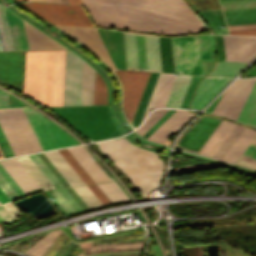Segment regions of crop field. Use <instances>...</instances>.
<instances>
[{"label":"crop field","instance_id":"crop-field-1","mask_svg":"<svg viewBox=\"0 0 256 256\" xmlns=\"http://www.w3.org/2000/svg\"><path fill=\"white\" fill-rule=\"evenodd\" d=\"M65 51L26 52L24 95L62 106Z\"/></svg>","mask_w":256,"mask_h":256},{"label":"crop field","instance_id":"crop-field-2","mask_svg":"<svg viewBox=\"0 0 256 256\" xmlns=\"http://www.w3.org/2000/svg\"><path fill=\"white\" fill-rule=\"evenodd\" d=\"M0 126L15 156L42 150L21 108L0 109Z\"/></svg>","mask_w":256,"mask_h":256},{"label":"crop field","instance_id":"crop-field-3","mask_svg":"<svg viewBox=\"0 0 256 256\" xmlns=\"http://www.w3.org/2000/svg\"><path fill=\"white\" fill-rule=\"evenodd\" d=\"M127 69L161 72L158 37L123 32Z\"/></svg>","mask_w":256,"mask_h":256},{"label":"crop field","instance_id":"crop-field-4","mask_svg":"<svg viewBox=\"0 0 256 256\" xmlns=\"http://www.w3.org/2000/svg\"><path fill=\"white\" fill-rule=\"evenodd\" d=\"M42 149L79 144L75 139L37 111L22 108Z\"/></svg>","mask_w":256,"mask_h":256},{"label":"crop field","instance_id":"crop-field-5","mask_svg":"<svg viewBox=\"0 0 256 256\" xmlns=\"http://www.w3.org/2000/svg\"><path fill=\"white\" fill-rule=\"evenodd\" d=\"M52 24L93 27L79 6L53 4H22Z\"/></svg>","mask_w":256,"mask_h":256},{"label":"crop field","instance_id":"crop-field-6","mask_svg":"<svg viewBox=\"0 0 256 256\" xmlns=\"http://www.w3.org/2000/svg\"><path fill=\"white\" fill-rule=\"evenodd\" d=\"M175 73L202 75L198 35L171 38Z\"/></svg>","mask_w":256,"mask_h":256},{"label":"crop field","instance_id":"crop-field-7","mask_svg":"<svg viewBox=\"0 0 256 256\" xmlns=\"http://www.w3.org/2000/svg\"><path fill=\"white\" fill-rule=\"evenodd\" d=\"M123 91V109L126 117L131 122L138 101L150 72L115 70Z\"/></svg>","mask_w":256,"mask_h":256},{"label":"crop field","instance_id":"crop-field-8","mask_svg":"<svg viewBox=\"0 0 256 256\" xmlns=\"http://www.w3.org/2000/svg\"><path fill=\"white\" fill-rule=\"evenodd\" d=\"M83 59L66 51L63 106L80 105Z\"/></svg>","mask_w":256,"mask_h":256},{"label":"crop field","instance_id":"crop-field-9","mask_svg":"<svg viewBox=\"0 0 256 256\" xmlns=\"http://www.w3.org/2000/svg\"><path fill=\"white\" fill-rule=\"evenodd\" d=\"M221 121L222 119L212 116H202L186 133L181 135L176 146L198 153Z\"/></svg>","mask_w":256,"mask_h":256},{"label":"crop field","instance_id":"crop-field-10","mask_svg":"<svg viewBox=\"0 0 256 256\" xmlns=\"http://www.w3.org/2000/svg\"><path fill=\"white\" fill-rule=\"evenodd\" d=\"M255 81L256 79L242 80L232 84L216 109L215 114L237 119Z\"/></svg>","mask_w":256,"mask_h":256},{"label":"crop field","instance_id":"crop-field-11","mask_svg":"<svg viewBox=\"0 0 256 256\" xmlns=\"http://www.w3.org/2000/svg\"><path fill=\"white\" fill-rule=\"evenodd\" d=\"M25 52L0 53V80L23 93Z\"/></svg>","mask_w":256,"mask_h":256},{"label":"crop field","instance_id":"crop-field-12","mask_svg":"<svg viewBox=\"0 0 256 256\" xmlns=\"http://www.w3.org/2000/svg\"><path fill=\"white\" fill-rule=\"evenodd\" d=\"M226 61L250 62L256 55V37L223 35Z\"/></svg>","mask_w":256,"mask_h":256},{"label":"crop field","instance_id":"crop-field-13","mask_svg":"<svg viewBox=\"0 0 256 256\" xmlns=\"http://www.w3.org/2000/svg\"><path fill=\"white\" fill-rule=\"evenodd\" d=\"M231 79L205 77L194 95L191 109H202Z\"/></svg>","mask_w":256,"mask_h":256},{"label":"crop field","instance_id":"crop-field-14","mask_svg":"<svg viewBox=\"0 0 256 256\" xmlns=\"http://www.w3.org/2000/svg\"><path fill=\"white\" fill-rule=\"evenodd\" d=\"M115 67L126 69L122 32L96 28Z\"/></svg>","mask_w":256,"mask_h":256},{"label":"crop field","instance_id":"crop-field-15","mask_svg":"<svg viewBox=\"0 0 256 256\" xmlns=\"http://www.w3.org/2000/svg\"><path fill=\"white\" fill-rule=\"evenodd\" d=\"M69 153L74 157V159L79 163L83 170L88 174V176L93 180L94 183L110 181L112 180L109 175L101 169H103L99 163L94 160L97 164L91 160L93 157L90 153L82 146L68 148Z\"/></svg>","mask_w":256,"mask_h":256},{"label":"crop field","instance_id":"crop-field-16","mask_svg":"<svg viewBox=\"0 0 256 256\" xmlns=\"http://www.w3.org/2000/svg\"><path fill=\"white\" fill-rule=\"evenodd\" d=\"M14 50H29L22 19L5 9Z\"/></svg>","mask_w":256,"mask_h":256},{"label":"crop field","instance_id":"crop-field-17","mask_svg":"<svg viewBox=\"0 0 256 256\" xmlns=\"http://www.w3.org/2000/svg\"><path fill=\"white\" fill-rule=\"evenodd\" d=\"M0 163L24 192L38 188L36 183L30 178V176L18 164L19 162L17 163L15 159L0 161Z\"/></svg>","mask_w":256,"mask_h":256},{"label":"crop field","instance_id":"crop-field-18","mask_svg":"<svg viewBox=\"0 0 256 256\" xmlns=\"http://www.w3.org/2000/svg\"><path fill=\"white\" fill-rule=\"evenodd\" d=\"M25 31L28 39V44L30 50H39V49H66L60 44L56 43L40 31L36 30L25 21Z\"/></svg>","mask_w":256,"mask_h":256},{"label":"crop field","instance_id":"crop-field-19","mask_svg":"<svg viewBox=\"0 0 256 256\" xmlns=\"http://www.w3.org/2000/svg\"><path fill=\"white\" fill-rule=\"evenodd\" d=\"M235 124L227 122L225 120L219 125L213 135L209 138L199 154L211 157L221 142L225 139Z\"/></svg>","mask_w":256,"mask_h":256},{"label":"crop field","instance_id":"crop-field-20","mask_svg":"<svg viewBox=\"0 0 256 256\" xmlns=\"http://www.w3.org/2000/svg\"><path fill=\"white\" fill-rule=\"evenodd\" d=\"M255 136V131L245 128L222 160L235 163Z\"/></svg>","mask_w":256,"mask_h":256},{"label":"crop field","instance_id":"crop-field-21","mask_svg":"<svg viewBox=\"0 0 256 256\" xmlns=\"http://www.w3.org/2000/svg\"><path fill=\"white\" fill-rule=\"evenodd\" d=\"M192 76L178 74L165 107H180Z\"/></svg>","mask_w":256,"mask_h":256},{"label":"crop field","instance_id":"crop-field-22","mask_svg":"<svg viewBox=\"0 0 256 256\" xmlns=\"http://www.w3.org/2000/svg\"><path fill=\"white\" fill-rule=\"evenodd\" d=\"M158 74L159 73L151 72L149 75L148 81L146 83L143 94L141 96L138 107L136 109L133 120L131 122L134 128L141 122V119L143 117L144 111L146 109L147 103L149 101V98L152 93Z\"/></svg>","mask_w":256,"mask_h":256},{"label":"crop field","instance_id":"crop-field-23","mask_svg":"<svg viewBox=\"0 0 256 256\" xmlns=\"http://www.w3.org/2000/svg\"><path fill=\"white\" fill-rule=\"evenodd\" d=\"M95 70L84 62L81 105L93 104Z\"/></svg>","mask_w":256,"mask_h":256},{"label":"crop field","instance_id":"crop-field-24","mask_svg":"<svg viewBox=\"0 0 256 256\" xmlns=\"http://www.w3.org/2000/svg\"><path fill=\"white\" fill-rule=\"evenodd\" d=\"M94 49L114 68L95 28L74 27ZM115 69V68H114Z\"/></svg>","mask_w":256,"mask_h":256},{"label":"crop field","instance_id":"crop-field-25","mask_svg":"<svg viewBox=\"0 0 256 256\" xmlns=\"http://www.w3.org/2000/svg\"><path fill=\"white\" fill-rule=\"evenodd\" d=\"M238 120L256 127V83L238 117Z\"/></svg>","mask_w":256,"mask_h":256},{"label":"crop field","instance_id":"crop-field-26","mask_svg":"<svg viewBox=\"0 0 256 256\" xmlns=\"http://www.w3.org/2000/svg\"><path fill=\"white\" fill-rule=\"evenodd\" d=\"M228 25L256 23V9L223 12Z\"/></svg>","mask_w":256,"mask_h":256},{"label":"crop field","instance_id":"crop-field-27","mask_svg":"<svg viewBox=\"0 0 256 256\" xmlns=\"http://www.w3.org/2000/svg\"><path fill=\"white\" fill-rule=\"evenodd\" d=\"M248 63H234L217 61L214 70L208 74L213 76L234 77L237 75Z\"/></svg>","mask_w":256,"mask_h":256},{"label":"crop field","instance_id":"crop-field-28","mask_svg":"<svg viewBox=\"0 0 256 256\" xmlns=\"http://www.w3.org/2000/svg\"><path fill=\"white\" fill-rule=\"evenodd\" d=\"M97 185L112 203L129 199L115 182L100 183Z\"/></svg>","mask_w":256,"mask_h":256},{"label":"crop field","instance_id":"crop-field-29","mask_svg":"<svg viewBox=\"0 0 256 256\" xmlns=\"http://www.w3.org/2000/svg\"><path fill=\"white\" fill-rule=\"evenodd\" d=\"M243 129V126L236 125L235 128L228 135V137L217 149V151L213 154L212 158L221 160V158L224 156V154L227 152V150L230 148L232 143L235 141V139L238 137V135L241 133Z\"/></svg>","mask_w":256,"mask_h":256},{"label":"crop field","instance_id":"crop-field-30","mask_svg":"<svg viewBox=\"0 0 256 256\" xmlns=\"http://www.w3.org/2000/svg\"><path fill=\"white\" fill-rule=\"evenodd\" d=\"M94 104H107V87L103 78L96 72Z\"/></svg>","mask_w":256,"mask_h":256},{"label":"crop field","instance_id":"crop-field-31","mask_svg":"<svg viewBox=\"0 0 256 256\" xmlns=\"http://www.w3.org/2000/svg\"><path fill=\"white\" fill-rule=\"evenodd\" d=\"M31 160L36 164V166L42 171V173L48 178V180L53 184L55 188L63 187L62 184L57 180V178L52 174L48 167L43 163V161L38 157L37 154L29 156Z\"/></svg>","mask_w":256,"mask_h":256},{"label":"crop field","instance_id":"crop-field-32","mask_svg":"<svg viewBox=\"0 0 256 256\" xmlns=\"http://www.w3.org/2000/svg\"><path fill=\"white\" fill-rule=\"evenodd\" d=\"M59 151L64 156V158L68 161V163L72 166V168L76 171V173L80 176V178L84 181L85 184L93 183L92 180L87 176V174L78 165L79 163L77 164V162L73 159L74 157L72 158V156L68 153L69 151L67 152L66 149H61Z\"/></svg>","mask_w":256,"mask_h":256},{"label":"crop field","instance_id":"crop-field-33","mask_svg":"<svg viewBox=\"0 0 256 256\" xmlns=\"http://www.w3.org/2000/svg\"><path fill=\"white\" fill-rule=\"evenodd\" d=\"M66 33H68L73 38L77 39L81 43L85 44L87 47H89L92 51H94L106 64H108L94 49L93 47L73 28V27H63V26H56ZM109 65V64H108ZM110 66V65H109ZM111 67V66H110Z\"/></svg>","mask_w":256,"mask_h":256},{"label":"crop field","instance_id":"crop-field-34","mask_svg":"<svg viewBox=\"0 0 256 256\" xmlns=\"http://www.w3.org/2000/svg\"><path fill=\"white\" fill-rule=\"evenodd\" d=\"M198 78H199V76H193L192 77L191 82L189 84V87L187 89L186 95L184 97V100H183L182 105H181L180 108H187L188 107V104H189L190 99L192 97V94H193V91H194V88L196 86Z\"/></svg>","mask_w":256,"mask_h":256},{"label":"crop field","instance_id":"crop-field-35","mask_svg":"<svg viewBox=\"0 0 256 256\" xmlns=\"http://www.w3.org/2000/svg\"><path fill=\"white\" fill-rule=\"evenodd\" d=\"M0 188L9 197L10 200L19 198L18 194L13 190V188L8 184V182L0 174Z\"/></svg>","mask_w":256,"mask_h":256},{"label":"crop field","instance_id":"crop-field-36","mask_svg":"<svg viewBox=\"0 0 256 256\" xmlns=\"http://www.w3.org/2000/svg\"><path fill=\"white\" fill-rule=\"evenodd\" d=\"M222 11L256 8V2L221 5Z\"/></svg>","mask_w":256,"mask_h":256},{"label":"crop field","instance_id":"crop-field-37","mask_svg":"<svg viewBox=\"0 0 256 256\" xmlns=\"http://www.w3.org/2000/svg\"><path fill=\"white\" fill-rule=\"evenodd\" d=\"M57 191L66 200V202L73 208L75 212L82 210L80 205L74 200V198L68 193L66 189H60Z\"/></svg>","mask_w":256,"mask_h":256},{"label":"crop field","instance_id":"crop-field-38","mask_svg":"<svg viewBox=\"0 0 256 256\" xmlns=\"http://www.w3.org/2000/svg\"><path fill=\"white\" fill-rule=\"evenodd\" d=\"M201 60L210 59L207 35H199Z\"/></svg>","mask_w":256,"mask_h":256},{"label":"crop field","instance_id":"crop-field-39","mask_svg":"<svg viewBox=\"0 0 256 256\" xmlns=\"http://www.w3.org/2000/svg\"><path fill=\"white\" fill-rule=\"evenodd\" d=\"M0 148L4 154L5 157L14 156L1 129H0Z\"/></svg>","mask_w":256,"mask_h":256},{"label":"crop field","instance_id":"crop-field-40","mask_svg":"<svg viewBox=\"0 0 256 256\" xmlns=\"http://www.w3.org/2000/svg\"><path fill=\"white\" fill-rule=\"evenodd\" d=\"M0 173L14 188V190L19 194L20 197L25 196V194L21 191V189L17 186V184L13 181V179L8 175V173L4 170V168L1 165H0Z\"/></svg>","mask_w":256,"mask_h":256},{"label":"crop field","instance_id":"crop-field-41","mask_svg":"<svg viewBox=\"0 0 256 256\" xmlns=\"http://www.w3.org/2000/svg\"><path fill=\"white\" fill-rule=\"evenodd\" d=\"M49 192L58 201V203L65 209V211L68 214L74 213L72 208L65 202V200L58 194V192L56 190H51Z\"/></svg>","mask_w":256,"mask_h":256},{"label":"crop field","instance_id":"crop-field-42","mask_svg":"<svg viewBox=\"0 0 256 256\" xmlns=\"http://www.w3.org/2000/svg\"><path fill=\"white\" fill-rule=\"evenodd\" d=\"M91 191L100 199V201L103 203V204H108L110 203L109 200L105 197V195L101 192V190L97 187L96 184H93V185H89L88 186ZM98 199V200H99Z\"/></svg>","mask_w":256,"mask_h":256},{"label":"crop field","instance_id":"crop-field-43","mask_svg":"<svg viewBox=\"0 0 256 256\" xmlns=\"http://www.w3.org/2000/svg\"><path fill=\"white\" fill-rule=\"evenodd\" d=\"M175 110H169L157 123H155L143 136L146 138L160 125L162 124Z\"/></svg>","mask_w":256,"mask_h":256},{"label":"crop field","instance_id":"crop-field-44","mask_svg":"<svg viewBox=\"0 0 256 256\" xmlns=\"http://www.w3.org/2000/svg\"><path fill=\"white\" fill-rule=\"evenodd\" d=\"M0 11H1L2 21H3V25H4L5 34H6L8 48H9V50H13L11 40H10L9 31H8V27H7V23H6L4 10H3V7H1V6H0Z\"/></svg>","mask_w":256,"mask_h":256},{"label":"crop field","instance_id":"crop-field-45","mask_svg":"<svg viewBox=\"0 0 256 256\" xmlns=\"http://www.w3.org/2000/svg\"><path fill=\"white\" fill-rule=\"evenodd\" d=\"M3 50H8V48H7L5 34H4L3 25H2L1 16H0V51H3Z\"/></svg>","mask_w":256,"mask_h":256},{"label":"crop field","instance_id":"crop-field-46","mask_svg":"<svg viewBox=\"0 0 256 256\" xmlns=\"http://www.w3.org/2000/svg\"><path fill=\"white\" fill-rule=\"evenodd\" d=\"M229 31L256 29V24L228 26Z\"/></svg>","mask_w":256,"mask_h":256},{"label":"crop field","instance_id":"crop-field-47","mask_svg":"<svg viewBox=\"0 0 256 256\" xmlns=\"http://www.w3.org/2000/svg\"><path fill=\"white\" fill-rule=\"evenodd\" d=\"M13 218L11 215L0 205V221H11Z\"/></svg>","mask_w":256,"mask_h":256},{"label":"crop field","instance_id":"crop-field-48","mask_svg":"<svg viewBox=\"0 0 256 256\" xmlns=\"http://www.w3.org/2000/svg\"><path fill=\"white\" fill-rule=\"evenodd\" d=\"M236 164L240 165V166H244V167L250 168V169H253V170H256V164L251 163V162H247V161L239 159Z\"/></svg>","mask_w":256,"mask_h":256},{"label":"crop field","instance_id":"crop-field-49","mask_svg":"<svg viewBox=\"0 0 256 256\" xmlns=\"http://www.w3.org/2000/svg\"><path fill=\"white\" fill-rule=\"evenodd\" d=\"M7 107V93L0 90V108Z\"/></svg>","mask_w":256,"mask_h":256},{"label":"crop field","instance_id":"crop-field-50","mask_svg":"<svg viewBox=\"0 0 256 256\" xmlns=\"http://www.w3.org/2000/svg\"><path fill=\"white\" fill-rule=\"evenodd\" d=\"M230 34H243V35H256V30H246V31H234L229 32Z\"/></svg>","mask_w":256,"mask_h":256},{"label":"crop field","instance_id":"crop-field-51","mask_svg":"<svg viewBox=\"0 0 256 256\" xmlns=\"http://www.w3.org/2000/svg\"><path fill=\"white\" fill-rule=\"evenodd\" d=\"M244 156L256 159V149L249 147L248 150L245 152Z\"/></svg>","mask_w":256,"mask_h":256},{"label":"crop field","instance_id":"crop-field-52","mask_svg":"<svg viewBox=\"0 0 256 256\" xmlns=\"http://www.w3.org/2000/svg\"><path fill=\"white\" fill-rule=\"evenodd\" d=\"M248 76H256V67L251 68L244 75H242V77H248Z\"/></svg>","mask_w":256,"mask_h":256},{"label":"crop field","instance_id":"crop-field-53","mask_svg":"<svg viewBox=\"0 0 256 256\" xmlns=\"http://www.w3.org/2000/svg\"><path fill=\"white\" fill-rule=\"evenodd\" d=\"M7 201H9V199L7 198V196L0 189V203L3 204L5 202H7Z\"/></svg>","mask_w":256,"mask_h":256},{"label":"crop field","instance_id":"crop-field-54","mask_svg":"<svg viewBox=\"0 0 256 256\" xmlns=\"http://www.w3.org/2000/svg\"><path fill=\"white\" fill-rule=\"evenodd\" d=\"M241 159L248 160V161L256 163V160L251 159V158H247V157H244V156H242Z\"/></svg>","mask_w":256,"mask_h":256},{"label":"crop field","instance_id":"crop-field-55","mask_svg":"<svg viewBox=\"0 0 256 256\" xmlns=\"http://www.w3.org/2000/svg\"><path fill=\"white\" fill-rule=\"evenodd\" d=\"M69 3L81 4V0H69Z\"/></svg>","mask_w":256,"mask_h":256},{"label":"crop field","instance_id":"crop-field-56","mask_svg":"<svg viewBox=\"0 0 256 256\" xmlns=\"http://www.w3.org/2000/svg\"><path fill=\"white\" fill-rule=\"evenodd\" d=\"M47 2H59V3H61V0H47Z\"/></svg>","mask_w":256,"mask_h":256},{"label":"crop field","instance_id":"crop-field-57","mask_svg":"<svg viewBox=\"0 0 256 256\" xmlns=\"http://www.w3.org/2000/svg\"><path fill=\"white\" fill-rule=\"evenodd\" d=\"M30 1H40V2H46V0H30Z\"/></svg>","mask_w":256,"mask_h":256},{"label":"crop field","instance_id":"crop-field-58","mask_svg":"<svg viewBox=\"0 0 256 256\" xmlns=\"http://www.w3.org/2000/svg\"><path fill=\"white\" fill-rule=\"evenodd\" d=\"M62 3H68V0H62Z\"/></svg>","mask_w":256,"mask_h":256},{"label":"crop field","instance_id":"crop-field-59","mask_svg":"<svg viewBox=\"0 0 256 256\" xmlns=\"http://www.w3.org/2000/svg\"><path fill=\"white\" fill-rule=\"evenodd\" d=\"M0 158H4L3 155H2V153H1V151H0Z\"/></svg>","mask_w":256,"mask_h":256},{"label":"crop field","instance_id":"crop-field-60","mask_svg":"<svg viewBox=\"0 0 256 256\" xmlns=\"http://www.w3.org/2000/svg\"><path fill=\"white\" fill-rule=\"evenodd\" d=\"M253 144H256V138H255V140L252 142Z\"/></svg>","mask_w":256,"mask_h":256},{"label":"crop field","instance_id":"crop-field-61","mask_svg":"<svg viewBox=\"0 0 256 256\" xmlns=\"http://www.w3.org/2000/svg\"><path fill=\"white\" fill-rule=\"evenodd\" d=\"M219 1H225V0H219Z\"/></svg>","mask_w":256,"mask_h":256}]
</instances>
